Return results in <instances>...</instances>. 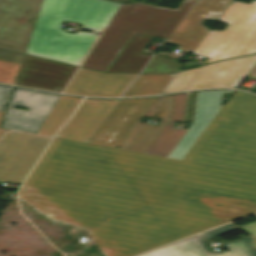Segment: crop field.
<instances>
[{
    "mask_svg": "<svg viewBox=\"0 0 256 256\" xmlns=\"http://www.w3.org/2000/svg\"><path fill=\"white\" fill-rule=\"evenodd\" d=\"M105 148L148 208L205 195L152 212L171 242L228 222L206 194L217 205L240 198L244 216L256 212V174Z\"/></svg>",
    "mask_w": 256,
    "mask_h": 256,
    "instance_id": "1",
    "label": "crop field"
},
{
    "mask_svg": "<svg viewBox=\"0 0 256 256\" xmlns=\"http://www.w3.org/2000/svg\"><path fill=\"white\" fill-rule=\"evenodd\" d=\"M105 149L56 138L25 185L91 229L109 217L84 178L111 217L146 209L147 206Z\"/></svg>",
    "mask_w": 256,
    "mask_h": 256,
    "instance_id": "2",
    "label": "crop field"
},
{
    "mask_svg": "<svg viewBox=\"0 0 256 256\" xmlns=\"http://www.w3.org/2000/svg\"><path fill=\"white\" fill-rule=\"evenodd\" d=\"M183 160L256 173V96L235 91Z\"/></svg>",
    "mask_w": 256,
    "mask_h": 256,
    "instance_id": "3",
    "label": "crop field"
},
{
    "mask_svg": "<svg viewBox=\"0 0 256 256\" xmlns=\"http://www.w3.org/2000/svg\"><path fill=\"white\" fill-rule=\"evenodd\" d=\"M195 2L183 0L177 9L121 4L82 67L105 72L134 33L168 38Z\"/></svg>",
    "mask_w": 256,
    "mask_h": 256,
    "instance_id": "4",
    "label": "crop field"
},
{
    "mask_svg": "<svg viewBox=\"0 0 256 256\" xmlns=\"http://www.w3.org/2000/svg\"><path fill=\"white\" fill-rule=\"evenodd\" d=\"M119 5L106 0H43L26 54L79 66L90 47L47 36L54 15L106 28Z\"/></svg>",
    "mask_w": 256,
    "mask_h": 256,
    "instance_id": "5",
    "label": "crop field"
},
{
    "mask_svg": "<svg viewBox=\"0 0 256 256\" xmlns=\"http://www.w3.org/2000/svg\"><path fill=\"white\" fill-rule=\"evenodd\" d=\"M219 21L229 25L224 31H209L192 53L210 57V63L256 52V0L233 1Z\"/></svg>",
    "mask_w": 256,
    "mask_h": 256,
    "instance_id": "6",
    "label": "crop field"
},
{
    "mask_svg": "<svg viewBox=\"0 0 256 256\" xmlns=\"http://www.w3.org/2000/svg\"><path fill=\"white\" fill-rule=\"evenodd\" d=\"M92 236L104 237L103 246L110 248L115 256H132L170 243L149 210L110 220Z\"/></svg>",
    "mask_w": 256,
    "mask_h": 256,
    "instance_id": "7",
    "label": "crop field"
},
{
    "mask_svg": "<svg viewBox=\"0 0 256 256\" xmlns=\"http://www.w3.org/2000/svg\"><path fill=\"white\" fill-rule=\"evenodd\" d=\"M51 136L7 130L0 136V181L22 184Z\"/></svg>",
    "mask_w": 256,
    "mask_h": 256,
    "instance_id": "8",
    "label": "crop field"
},
{
    "mask_svg": "<svg viewBox=\"0 0 256 256\" xmlns=\"http://www.w3.org/2000/svg\"><path fill=\"white\" fill-rule=\"evenodd\" d=\"M42 0H0V48L25 53Z\"/></svg>",
    "mask_w": 256,
    "mask_h": 256,
    "instance_id": "9",
    "label": "crop field"
},
{
    "mask_svg": "<svg viewBox=\"0 0 256 256\" xmlns=\"http://www.w3.org/2000/svg\"><path fill=\"white\" fill-rule=\"evenodd\" d=\"M155 99L119 100L87 142L117 148Z\"/></svg>",
    "mask_w": 256,
    "mask_h": 256,
    "instance_id": "10",
    "label": "crop field"
},
{
    "mask_svg": "<svg viewBox=\"0 0 256 256\" xmlns=\"http://www.w3.org/2000/svg\"><path fill=\"white\" fill-rule=\"evenodd\" d=\"M59 98V95L15 88L1 127L37 133ZM14 105H23L30 110H18L13 108Z\"/></svg>",
    "mask_w": 256,
    "mask_h": 256,
    "instance_id": "11",
    "label": "crop field"
},
{
    "mask_svg": "<svg viewBox=\"0 0 256 256\" xmlns=\"http://www.w3.org/2000/svg\"><path fill=\"white\" fill-rule=\"evenodd\" d=\"M231 1L197 0L167 41L179 43V50L192 52L209 31L200 23L206 18L218 20Z\"/></svg>",
    "mask_w": 256,
    "mask_h": 256,
    "instance_id": "12",
    "label": "crop field"
},
{
    "mask_svg": "<svg viewBox=\"0 0 256 256\" xmlns=\"http://www.w3.org/2000/svg\"><path fill=\"white\" fill-rule=\"evenodd\" d=\"M76 67L25 56L15 85L61 92Z\"/></svg>",
    "mask_w": 256,
    "mask_h": 256,
    "instance_id": "13",
    "label": "crop field"
},
{
    "mask_svg": "<svg viewBox=\"0 0 256 256\" xmlns=\"http://www.w3.org/2000/svg\"><path fill=\"white\" fill-rule=\"evenodd\" d=\"M255 64L256 55H252L203 66L186 90L238 88Z\"/></svg>",
    "mask_w": 256,
    "mask_h": 256,
    "instance_id": "14",
    "label": "crop field"
},
{
    "mask_svg": "<svg viewBox=\"0 0 256 256\" xmlns=\"http://www.w3.org/2000/svg\"><path fill=\"white\" fill-rule=\"evenodd\" d=\"M138 74H104L80 68L65 93L120 97Z\"/></svg>",
    "mask_w": 256,
    "mask_h": 256,
    "instance_id": "15",
    "label": "crop field"
},
{
    "mask_svg": "<svg viewBox=\"0 0 256 256\" xmlns=\"http://www.w3.org/2000/svg\"><path fill=\"white\" fill-rule=\"evenodd\" d=\"M232 91L197 92L194 123L169 154V158L182 160L200 135L220 111L221 95Z\"/></svg>",
    "mask_w": 256,
    "mask_h": 256,
    "instance_id": "16",
    "label": "crop field"
},
{
    "mask_svg": "<svg viewBox=\"0 0 256 256\" xmlns=\"http://www.w3.org/2000/svg\"><path fill=\"white\" fill-rule=\"evenodd\" d=\"M117 101L86 99L57 137L86 142Z\"/></svg>",
    "mask_w": 256,
    "mask_h": 256,
    "instance_id": "17",
    "label": "crop field"
},
{
    "mask_svg": "<svg viewBox=\"0 0 256 256\" xmlns=\"http://www.w3.org/2000/svg\"><path fill=\"white\" fill-rule=\"evenodd\" d=\"M227 250L212 252L200 236L174 243L140 256H240L253 249L250 236L225 244Z\"/></svg>",
    "mask_w": 256,
    "mask_h": 256,
    "instance_id": "18",
    "label": "crop field"
},
{
    "mask_svg": "<svg viewBox=\"0 0 256 256\" xmlns=\"http://www.w3.org/2000/svg\"><path fill=\"white\" fill-rule=\"evenodd\" d=\"M173 95L160 97L158 117L159 126L138 123L119 148L144 153L166 123H169Z\"/></svg>",
    "mask_w": 256,
    "mask_h": 256,
    "instance_id": "19",
    "label": "crop field"
},
{
    "mask_svg": "<svg viewBox=\"0 0 256 256\" xmlns=\"http://www.w3.org/2000/svg\"><path fill=\"white\" fill-rule=\"evenodd\" d=\"M187 93L174 95L170 124H166L160 134L146 150V154L167 157L187 130L172 129L175 121L183 122Z\"/></svg>",
    "mask_w": 256,
    "mask_h": 256,
    "instance_id": "20",
    "label": "crop field"
},
{
    "mask_svg": "<svg viewBox=\"0 0 256 256\" xmlns=\"http://www.w3.org/2000/svg\"><path fill=\"white\" fill-rule=\"evenodd\" d=\"M151 38L135 35L107 72L139 73L151 58L150 55L140 54Z\"/></svg>",
    "mask_w": 256,
    "mask_h": 256,
    "instance_id": "21",
    "label": "crop field"
},
{
    "mask_svg": "<svg viewBox=\"0 0 256 256\" xmlns=\"http://www.w3.org/2000/svg\"><path fill=\"white\" fill-rule=\"evenodd\" d=\"M81 100L80 98L61 96L38 133L54 136Z\"/></svg>",
    "mask_w": 256,
    "mask_h": 256,
    "instance_id": "22",
    "label": "crop field"
},
{
    "mask_svg": "<svg viewBox=\"0 0 256 256\" xmlns=\"http://www.w3.org/2000/svg\"><path fill=\"white\" fill-rule=\"evenodd\" d=\"M175 74L170 75H139L126 96H146L158 94L163 91Z\"/></svg>",
    "mask_w": 256,
    "mask_h": 256,
    "instance_id": "23",
    "label": "crop field"
},
{
    "mask_svg": "<svg viewBox=\"0 0 256 256\" xmlns=\"http://www.w3.org/2000/svg\"><path fill=\"white\" fill-rule=\"evenodd\" d=\"M19 199L89 233L93 230L86 229L74 220H72L70 217H68L65 213H63L60 209H58L56 206H54L51 202H49L46 198H44L42 195L37 193L35 190L23 186V188L19 192Z\"/></svg>",
    "mask_w": 256,
    "mask_h": 256,
    "instance_id": "24",
    "label": "crop field"
},
{
    "mask_svg": "<svg viewBox=\"0 0 256 256\" xmlns=\"http://www.w3.org/2000/svg\"><path fill=\"white\" fill-rule=\"evenodd\" d=\"M62 20L75 22V21H71L68 19H64V18L55 16L48 35L66 39V40H70V41H74V42H78V43H82V44H86V45H90V46H92V44L98 37V35H96V34H91V33H86V32H81V31H78L76 34L66 33V32L62 31L63 30L62 27H59ZM76 23H79V22H76ZM81 24H83V23H81ZM82 29L98 31V32L102 31V28L90 26L87 24H84L82 26Z\"/></svg>",
    "mask_w": 256,
    "mask_h": 256,
    "instance_id": "25",
    "label": "crop field"
},
{
    "mask_svg": "<svg viewBox=\"0 0 256 256\" xmlns=\"http://www.w3.org/2000/svg\"><path fill=\"white\" fill-rule=\"evenodd\" d=\"M199 68L177 73L162 93L183 90Z\"/></svg>",
    "mask_w": 256,
    "mask_h": 256,
    "instance_id": "26",
    "label": "crop field"
},
{
    "mask_svg": "<svg viewBox=\"0 0 256 256\" xmlns=\"http://www.w3.org/2000/svg\"><path fill=\"white\" fill-rule=\"evenodd\" d=\"M20 67L0 63V82L13 84Z\"/></svg>",
    "mask_w": 256,
    "mask_h": 256,
    "instance_id": "27",
    "label": "crop field"
},
{
    "mask_svg": "<svg viewBox=\"0 0 256 256\" xmlns=\"http://www.w3.org/2000/svg\"><path fill=\"white\" fill-rule=\"evenodd\" d=\"M25 55L0 49V62L20 66Z\"/></svg>",
    "mask_w": 256,
    "mask_h": 256,
    "instance_id": "28",
    "label": "crop field"
},
{
    "mask_svg": "<svg viewBox=\"0 0 256 256\" xmlns=\"http://www.w3.org/2000/svg\"><path fill=\"white\" fill-rule=\"evenodd\" d=\"M232 201H228L218 206L229 221L243 217L242 213L238 210Z\"/></svg>",
    "mask_w": 256,
    "mask_h": 256,
    "instance_id": "29",
    "label": "crop field"
},
{
    "mask_svg": "<svg viewBox=\"0 0 256 256\" xmlns=\"http://www.w3.org/2000/svg\"><path fill=\"white\" fill-rule=\"evenodd\" d=\"M238 230L235 226L231 224H226L224 226L218 227L216 229L210 230L208 232L203 233V236L206 238V240Z\"/></svg>",
    "mask_w": 256,
    "mask_h": 256,
    "instance_id": "30",
    "label": "crop field"
},
{
    "mask_svg": "<svg viewBox=\"0 0 256 256\" xmlns=\"http://www.w3.org/2000/svg\"><path fill=\"white\" fill-rule=\"evenodd\" d=\"M12 89L10 87L0 86V110L4 111Z\"/></svg>",
    "mask_w": 256,
    "mask_h": 256,
    "instance_id": "31",
    "label": "crop field"
},
{
    "mask_svg": "<svg viewBox=\"0 0 256 256\" xmlns=\"http://www.w3.org/2000/svg\"><path fill=\"white\" fill-rule=\"evenodd\" d=\"M196 92L190 93L186 122H193Z\"/></svg>",
    "mask_w": 256,
    "mask_h": 256,
    "instance_id": "32",
    "label": "crop field"
},
{
    "mask_svg": "<svg viewBox=\"0 0 256 256\" xmlns=\"http://www.w3.org/2000/svg\"><path fill=\"white\" fill-rule=\"evenodd\" d=\"M241 228L245 229L246 231L252 233L255 237V241H256V222L254 223H249L245 226H241ZM251 234V235H252Z\"/></svg>",
    "mask_w": 256,
    "mask_h": 256,
    "instance_id": "33",
    "label": "crop field"
},
{
    "mask_svg": "<svg viewBox=\"0 0 256 256\" xmlns=\"http://www.w3.org/2000/svg\"><path fill=\"white\" fill-rule=\"evenodd\" d=\"M90 238H91L93 241H95L102 249H104L110 256H114L113 253H112V251H111L110 249L102 247V243H103V241H104L103 238H93L92 236H90Z\"/></svg>",
    "mask_w": 256,
    "mask_h": 256,
    "instance_id": "34",
    "label": "crop field"
},
{
    "mask_svg": "<svg viewBox=\"0 0 256 256\" xmlns=\"http://www.w3.org/2000/svg\"><path fill=\"white\" fill-rule=\"evenodd\" d=\"M157 102H158V99H156L155 103L151 106V108L146 112V114L144 116H148V117H154L155 116V112H156V108H157Z\"/></svg>",
    "mask_w": 256,
    "mask_h": 256,
    "instance_id": "35",
    "label": "crop field"
},
{
    "mask_svg": "<svg viewBox=\"0 0 256 256\" xmlns=\"http://www.w3.org/2000/svg\"><path fill=\"white\" fill-rule=\"evenodd\" d=\"M248 77L256 79V65L255 67L252 69V71L249 73Z\"/></svg>",
    "mask_w": 256,
    "mask_h": 256,
    "instance_id": "36",
    "label": "crop field"
},
{
    "mask_svg": "<svg viewBox=\"0 0 256 256\" xmlns=\"http://www.w3.org/2000/svg\"><path fill=\"white\" fill-rule=\"evenodd\" d=\"M242 256H256V250L253 249V250L243 254Z\"/></svg>",
    "mask_w": 256,
    "mask_h": 256,
    "instance_id": "37",
    "label": "crop field"
},
{
    "mask_svg": "<svg viewBox=\"0 0 256 256\" xmlns=\"http://www.w3.org/2000/svg\"><path fill=\"white\" fill-rule=\"evenodd\" d=\"M3 113H4V112L0 111V123H1V120H2V117H3ZM4 132H5V130H1V129H0V135H1L2 133H4Z\"/></svg>",
    "mask_w": 256,
    "mask_h": 256,
    "instance_id": "38",
    "label": "crop field"
}]
</instances>
